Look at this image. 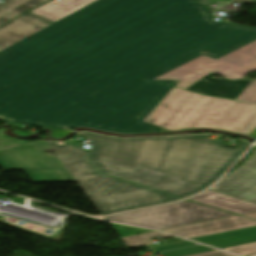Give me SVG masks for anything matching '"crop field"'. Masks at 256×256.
I'll use <instances>...</instances> for the list:
<instances>
[{
	"label": "crop field",
	"mask_w": 256,
	"mask_h": 256,
	"mask_svg": "<svg viewBox=\"0 0 256 256\" xmlns=\"http://www.w3.org/2000/svg\"><path fill=\"white\" fill-rule=\"evenodd\" d=\"M192 245H196V243L182 240V241L172 242V243H168V244L153 246V248L157 252H160V251L172 250V249H177V248H182V247H187V246H192ZM148 248H151V247H147L146 249H148Z\"/></svg>",
	"instance_id": "obj_18"
},
{
	"label": "crop field",
	"mask_w": 256,
	"mask_h": 256,
	"mask_svg": "<svg viewBox=\"0 0 256 256\" xmlns=\"http://www.w3.org/2000/svg\"><path fill=\"white\" fill-rule=\"evenodd\" d=\"M242 104L173 88L145 122L172 131L210 128L231 132Z\"/></svg>",
	"instance_id": "obj_5"
},
{
	"label": "crop field",
	"mask_w": 256,
	"mask_h": 256,
	"mask_svg": "<svg viewBox=\"0 0 256 256\" xmlns=\"http://www.w3.org/2000/svg\"><path fill=\"white\" fill-rule=\"evenodd\" d=\"M256 221L246 219L243 217L235 216L200 224H194L169 230H164L173 234L181 235L184 237L192 238L203 236L213 233L255 227ZM187 238V239H188Z\"/></svg>",
	"instance_id": "obj_10"
},
{
	"label": "crop field",
	"mask_w": 256,
	"mask_h": 256,
	"mask_svg": "<svg viewBox=\"0 0 256 256\" xmlns=\"http://www.w3.org/2000/svg\"><path fill=\"white\" fill-rule=\"evenodd\" d=\"M221 248L256 242V228L192 238ZM197 241V242H198ZM207 244V245H208ZM217 247V248H218Z\"/></svg>",
	"instance_id": "obj_13"
},
{
	"label": "crop field",
	"mask_w": 256,
	"mask_h": 256,
	"mask_svg": "<svg viewBox=\"0 0 256 256\" xmlns=\"http://www.w3.org/2000/svg\"><path fill=\"white\" fill-rule=\"evenodd\" d=\"M111 226L114 228V230L120 236V238L126 237V236H132V235L153 232V231H148V230H144V229H140V228L117 225V224H111Z\"/></svg>",
	"instance_id": "obj_16"
},
{
	"label": "crop field",
	"mask_w": 256,
	"mask_h": 256,
	"mask_svg": "<svg viewBox=\"0 0 256 256\" xmlns=\"http://www.w3.org/2000/svg\"><path fill=\"white\" fill-rule=\"evenodd\" d=\"M13 130V129H12ZM14 132H16V133H18L19 135H21V136H24V135H26L27 133H23V132H18V131H16V130H13Z\"/></svg>",
	"instance_id": "obj_28"
},
{
	"label": "crop field",
	"mask_w": 256,
	"mask_h": 256,
	"mask_svg": "<svg viewBox=\"0 0 256 256\" xmlns=\"http://www.w3.org/2000/svg\"><path fill=\"white\" fill-rule=\"evenodd\" d=\"M191 256H236V255L224 253L219 250H215V251L199 253V254H195V255H191Z\"/></svg>",
	"instance_id": "obj_22"
},
{
	"label": "crop field",
	"mask_w": 256,
	"mask_h": 256,
	"mask_svg": "<svg viewBox=\"0 0 256 256\" xmlns=\"http://www.w3.org/2000/svg\"><path fill=\"white\" fill-rule=\"evenodd\" d=\"M241 215H244V216L256 219V211L255 212H251V213L241 214Z\"/></svg>",
	"instance_id": "obj_26"
},
{
	"label": "crop field",
	"mask_w": 256,
	"mask_h": 256,
	"mask_svg": "<svg viewBox=\"0 0 256 256\" xmlns=\"http://www.w3.org/2000/svg\"><path fill=\"white\" fill-rule=\"evenodd\" d=\"M141 170L136 168L106 174L151 188L184 182L165 176L156 180L139 174ZM75 180L103 215L181 199L102 174L77 177Z\"/></svg>",
	"instance_id": "obj_4"
},
{
	"label": "crop field",
	"mask_w": 256,
	"mask_h": 256,
	"mask_svg": "<svg viewBox=\"0 0 256 256\" xmlns=\"http://www.w3.org/2000/svg\"><path fill=\"white\" fill-rule=\"evenodd\" d=\"M255 116L256 106L244 103L232 132L238 134Z\"/></svg>",
	"instance_id": "obj_15"
},
{
	"label": "crop field",
	"mask_w": 256,
	"mask_h": 256,
	"mask_svg": "<svg viewBox=\"0 0 256 256\" xmlns=\"http://www.w3.org/2000/svg\"><path fill=\"white\" fill-rule=\"evenodd\" d=\"M256 70V41L218 59L201 56L153 80L179 79L176 87L199 94L256 104V79L243 80ZM218 73L224 79L211 78Z\"/></svg>",
	"instance_id": "obj_3"
},
{
	"label": "crop field",
	"mask_w": 256,
	"mask_h": 256,
	"mask_svg": "<svg viewBox=\"0 0 256 256\" xmlns=\"http://www.w3.org/2000/svg\"><path fill=\"white\" fill-rule=\"evenodd\" d=\"M25 1L27 0H3V2L0 3V15L24 3Z\"/></svg>",
	"instance_id": "obj_21"
},
{
	"label": "crop field",
	"mask_w": 256,
	"mask_h": 256,
	"mask_svg": "<svg viewBox=\"0 0 256 256\" xmlns=\"http://www.w3.org/2000/svg\"><path fill=\"white\" fill-rule=\"evenodd\" d=\"M247 256H256V254H253V255H247Z\"/></svg>",
	"instance_id": "obj_29"
},
{
	"label": "crop field",
	"mask_w": 256,
	"mask_h": 256,
	"mask_svg": "<svg viewBox=\"0 0 256 256\" xmlns=\"http://www.w3.org/2000/svg\"><path fill=\"white\" fill-rule=\"evenodd\" d=\"M249 136L256 138V129Z\"/></svg>",
	"instance_id": "obj_27"
},
{
	"label": "crop field",
	"mask_w": 256,
	"mask_h": 256,
	"mask_svg": "<svg viewBox=\"0 0 256 256\" xmlns=\"http://www.w3.org/2000/svg\"><path fill=\"white\" fill-rule=\"evenodd\" d=\"M48 0H29L15 9L0 16V25L11 18L30 10ZM54 22L38 16L32 12L21 15L0 27V50L17 41L53 24Z\"/></svg>",
	"instance_id": "obj_8"
},
{
	"label": "crop field",
	"mask_w": 256,
	"mask_h": 256,
	"mask_svg": "<svg viewBox=\"0 0 256 256\" xmlns=\"http://www.w3.org/2000/svg\"><path fill=\"white\" fill-rule=\"evenodd\" d=\"M224 250L232 251L243 255L253 254L256 253V243L225 248Z\"/></svg>",
	"instance_id": "obj_20"
},
{
	"label": "crop field",
	"mask_w": 256,
	"mask_h": 256,
	"mask_svg": "<svg viewBox=\"0 0 256 256\" xmlns=\"http://www.w3.org/2000/svg\"><path fill=\"white\" fill-rule=\"evenodd\" d=\"M228 216L234 215L185 201L157 208L109 216L106 219L160 230Z\"/></svg>",
	"instance_id": "obj_6"
},
{
	"label": "crop field",
	"mask_w": 256,
	"mask_h": 256,
	"mask_svg": "<svg viewBox=\"0 0 256 256\" xmlns=\"http://www.w3.org/2000/svg\"><path fill=\"white\" fill-rule=\"evenodd\" d=\"M51 130H52L51 137L56 139H59L69 133L68 131L53 130V129Z\"/></svg>",
	"instance_id": "obj_25"
},
{
	"label": "crop field",
	"mask_w": 256,
	"mask_h": 256,
	"mask_svg": "<svg viewBox=\"0 0 256 256\" xmlns=\"http://www.w3.org/2000/svg\"><path fill=\"white\" fill-rule=\"evenodd\" d=\"M200 0H98L0 51V121L119 134L169 131L143 122L179 80L151 79L201 55L218 59L254 40L256 28L214 22Z\"/></svg>",
	"instance_id": "obj_1"
},
{
	"label": "crop field",
	"mask_w": 256,
	"mask_h": 256,
	"mask_svg": "<svg viewBox=\"0 0 256 256\" xmlns=\"http://www.w3.org/2000/svg\"><path fill=\"white\" fill-rule=\"evenodd\" d=\"M210 190L256 204V157L227 175Z\"/></svg>",
	"instance_id": "obj_9"
},
{
	"label": "crop field",
	"mask_w": 256,
	"mask_h": 256,
	"mask_svg": "<svg viewBox=\"0 0 256 256\" xmlns=\"http://www.w3.org/2000/svg\"><path fill=\"white\" fill-rule=\"evenodd\" d=\"M237 10H238V8L228 5V6H225L221 9H219L218 11H221V12L231 16V15L235 14Z\"/></svg>",
	"instance_id": "obj_24"
},
{
	"label": "crop field",
	"mask_w": 256,
	"mask_h": 256,
	"mask_svg": "<svg viewBox=\"0 0 256 256\" xmlns=\"http://www.w3.org/2000/svg\"><path fill=\"white\" fill-rule=\"evenodd\" d=\"M154 237L166 238L171 236L158 233V232H153V233H148V234H143L138 236L126 237V238H123L122 240L124 241V243L127 245L128 248H132V247H138V246L153 245L150 239Z\"/></svg>",
	"instance_id": "obj_14"
},
{
	"label": "crop field",
	"mask_w": 256,
	"mask_h": 256,
	"mask_svg": "<svg viewBox=\"0 0 256 256\" xmlns=\"http://www.w3.org/2000/svg\"><path fill=\"white\" fill-rule=\"evenodd\" d=\"M46 142L36 143L0 152V164L6 170L25 171L34 182L75 181Z\"/></svg>",
	"instance_id": "obj_7"
},
{
	"label": "crop field",
	"mask_w": 256,
	"mask_h": 256,
	"mask_svg": "<svg viewBox=\"0 0 256 256\" xmlns=\"http://www.w3.org/2000/svg\"><path fill=\"white\" fill-rule=\"evenodd\" d=\"M66 42V41H65ZM64 43V42H63ZM62 44V43H61ZM5 58L9 61L12 62H20V63H25L31 59H33L34 57L21 53L19 51L13 50L7 54H5Z\"/></svg>",
	"instance_id": "obj_19"
},
{
	"label": "crop field",
	"mask_w": 256,
	"mask_h": 256,
	"mask_svg": "<svg viewBox=\"0 0 256 256\" xmlns=\"http://www.w3.org/2000/svg\"><path fill=\"white\" fill-rule=\"evenodd\" d=\"M256 128V117L239 133L248 136Z\"/></svg>",
	"instance_id": "obj_23"
},
{
	"label": "crop field",
	"mask_w": 256,
	"mask_h": 256,
	"mask_svg": "<svg viewBox=\"0 0 256 256\" xmlns=\"http://www.w3.org/2000/svg\"><path fill=\"white\" fill-rule=\"evenodd\" d=\"M90 161L102 172L136 167L141 174L159 178L162 175L184 180L185 183L157 190L182 198L213 184L249 147L241 141L236 149L222 146L210 135L117 139L91 133ZM73 177L99 173L87 161V152L66 142H47Z\"/></svg>",
	"instance_id": "obj_2"
},
{
	"label": "crop field",
	"mask_w": 256,
	"mask_h": 256,
	"mask_svg": "<svg viewBox=\"0 0 256 256\" xmlns=\"http://www.w3.org/2000/svg\"><path fill=\"white\" fill-rule=\"evenodd\" d=\"M188 200H192L237 214L256 210V205L237 200L210 190Z\"/></svg>",
	"instance_id": "obj_11"
},
{
	"label": "crop field",
	"mask_w": 256,
	"mask_h": 256,
	"mask_svg": "<svg viewBox=\"0 0 256 256\" xmlns=\"http://www.w3.org/2000/svg\"><path fill=\"white\" fill-rule=\"evenodd\" d=\"M95 1L96 0H54L32 12L56 22Z\"/></svg>",
	"instance_id": "obj_12"
},
{
	"label": "crop field",
	"mask_w": 256,
	"mask_h": 256,
	"mask_svg": "<svg viewBox=\"0 0 256 256\" xmlns=\"http://www.w3.org/2000/svg\"><path fill=\"white\" fill-rule=\"evenodd\" d=\"M209 250H215V249L205 247V246H197V247L179 249V250H175L167 253H161V254H163L164 256H187V255L209 251Z\"/></svg>",
	"instance_id": "obj_17"
}]
</instances>
